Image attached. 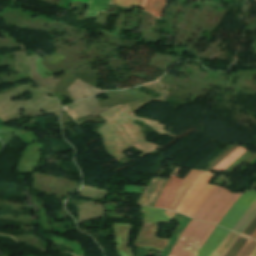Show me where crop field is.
<instances>
[{
    "instance_id": "11",
    "label": "crop field",
    "mask_w": 256,
    "mask_h": 256,
    "mask_svg": "<svg viewBox=\"0 0 256 256\" xmlns=\"http://www.w3.org/2000/svg\"><path fill=\"white\" fill-rule=\"evenodd\" d=\"M238 234L230 231L221 245L217 248V250L212 254V256H224L230 245L234 242L237 238ZM211 256V255H210Z\"/></svg>"
},
{
    "instance_id": "21",
    "label": "crop field",
    "mask_w": 256,
    "mask_h": 256,
    "mask_svg": "<svg viewBox=\"0 0 256 256\" xmlns=\"http://www.w3.org/2000/svg\"><path fill=\"white\" fill-rule=\"evenodd\" d=\"M254 1H256V0H254Z\"/></svg>"
},
{
    "instance_id": "3",
    "label": "crop field",
    "mask_w": 256,
    "mask_h": 256,
    "mask_svg": "<svg viewBox=\"0 0 256 256\" xmlns=\"http://www.w3.org/2000/svg\"><path fill=\"white\" fill-rule=\"evenodd\" d=\"M255 199V190L243 193L218 225L231 230L235 223L238 221V219L241 217V215L246 211V209L252 204Z\"/></svg>"
},
{
    "instance_id": "6",
    "label": "crop field",
    "mask_w": 256,
    "mask_h": 256,
    "mask_svg": "<svg viewBox=\"0 0 256 256\" xmlns=\"http://www.w3.org/2000/svg\"><path fill=\"white\" fill-rule=\"evenodd\" d=\"M182 179L170 177L169 181L167 182L165 189L161 196L159 197L155 207L166 209L168 203L170 202L171 198L173 197L176 189L180 185Z\"/></svg>"
},
{
    "instance_id": "1",
    "label": "crop field",
    "mask_w": 256,
    "mask_h": 256,
    "mask_svg": "<svg viewBox=\"0 0 256 256\" xmlns=\"http://www.w3.org/2000/svg\"><path fill=\"white\" fill-rule=\"evenodd\" d=\"M213 177V174L209 172H204L203 175L199 178V180L195 183L189 193L186 195L182 203L178 208V212L184 214V212L188 209V207L192 204V202L196 199V197L200 194V192L204 189V187L208 184L210 179ZM215 187L207 185L206 188L202 191V193L197 197V199L193 202V204L186 211L185 215L189 217H193V215L197 212L203 202L208 198V196L213 192ZM226 190L220 187H217L215 191L210 195V197L205 201V203L201 206L198 212L195 214L193 219L200 220L205 217V215L209 212V210L214 206V204L219 200V198L224 194ZM242 194V193H241ZM241 194H232L229 191H226L225 194L220 198V200L215 204V206L210 210L207 216L204 218L203 222H207L212 224L217 216L221 213L227 203L228 205L222 211V213L218 216L213 224L217 225L218 222L222 219L228 209L233 205V203L238 199Z\"/></svg>"
},
{
    "instance_id": "9",
    "label": "crop field",
    "mask_w": 256,
    "mask_h": 256,
    "mask_svg": "<svg viewBox=\"0 0 256 256\" xmlns=\"http://www.w3.org/2000/svg\"><path fill=\"white\" fill-rule=\"evenodd\" d=\"M255 214H256V200L248 208V210L245 212L242 218L238 221V223L233 227L232 231L241 234L242 230L250 222V220L255 216Z\"/></svg>"
},
{
    "instance_id": "8",
    "label": "crop field",
    "mask_w": 256,
    "mask_h": 256,
    "mask_svg": "<svg viewBox=\"0 0 256 256\" xmlns=\"http://www.w3.org/2000/svg\"><path fill=\"white\" fill-rule=\"evenodd\" d=\"M166 0H143L140 7H144L143 10L152 13V15L161 17Z\"/></svg>"
},
{
    "instance_id": "2",
    "label": "crop field",
    "mask_w": 256,
    "mask_h": 256,
    "mask_svg": "<svg viewBox=\"0 0 256 256\" xmlns=\"http://www.w3.org/2000/svg\"><path fill=\"white\" fill-rule=\"evenodd\" d=\"M199 224V221L191 219L189 224L186 226L184 231L182 232L181 236L177 240L176 244L174 245L173 249L171 250L169 256H178L181 249L183 248L185 242L187 241L188 237L191 235V233L194 231L196 226ZM210 224L202 223L198 225V227L195 229V231L192 233V235L189 237L188 241L186 242L184 248L182 249L179 256H188L191 251L194 249L196 244L202 239L204 234L209 229ZM214 225H211L209 231L207 234L203 237V239L199 242V244L195 247L193 252L190 256H195L202 244L206 241L211 231L214 229Z\"/></svg>"
},
{
    "instance_id": "7",
    "label": "crop field",
    "mask_w": 256,
    "mask_h": 256,
    "mask_svg": "<svg viewBox=\"0 0 256 256\" xmlns=\"http://www.w3.org/2000/svg\"><path fill=\"white\" fill-rule=\"evenodd\" d=\"M141 211L145 212L144 222H155L164 221L170 222L171 218L164 214L162 210L150 208V207H142Z\"/></svg>"
},
{
    "instance_id": "10",
    "label": "crop field",
    "mask_w": 256,
    "mask_h": 256,
    "mask_svg": "<svg viewBox=\"0 0 256 256\" xmlns=\"http://www.w3.org/2000/svg\"><path fill=\"white\" fill-rule=\"evenodd\" d=\"M110 0H91L86 16H97L98 12L106 11Z\"/></svg>"
},
{
    "instance_id": "5",
    "label": "crop field",
    "mask_w": 256,
    "mask_h": 256,
    "mask_svg": "<svg viewBox=\"0 0 256 256\" xmlns=\"http://www.w3.org/2000/svg\"><path fill=\"white\" fill-rule=\"evenodd\" d=\"M229 230L221 227H216L213 233L210 235L206 243L200 249L196 256H210L216 248L220 245L222 240L228 234Z\"/></svg>"
},
{
    "instance_id": "12",
    "label": "crop field",
    "mask_w": 256,
    "mask_h": 256,
    "mask_svg": "<svg viewBox=\"0 0 256 256\" xmlns=\"http://www.w3.org/2000/svg\"><path fill=\"white\" fill-rule=\"evenodd\" d=\"M247 240H248V238L239 235V237L236 239V241L230 247V249L225 254V256H237V254L240 252V250L242 249L244 244L247 242Z\"/></svg>"
},
{
    "instance_id": "16",
    "label": "crop field",
    "mask_w": 256,
    "mask_h": 256,
    "mask_svg": "<svg viewBox=\"0 0 256 256\" xmlns=\"http://www.w3.org/2000/svg\"><path fill=\"white\" fill-rule=\"evenodd\" d=\"M165 213H166L167 215H169V216H172V217H173L174 214H175L174 212H170V211H167V210H165Z\"/></svg>"
},
{
    "instance_id": "19",
    "label": "crop field",
    "mask_w": 256,
    "mask_h": 256,
    "mask_svg": "<svg viewBox=\"0 0 256 256\" xmlns=\"http://www.w3.org/2000/svg\"><path fill=\"white\" fill-rule=\"evenodd\" d=\"M252 238L256 239V232L254 233V235L252 236Z\"/></svg>"
},
{
    "instance_id": "17",
    "label": "crop field",
    "mask_w": 256,
    "mask_h": 256,
    "mask_svg": "<svg viewBox=\"0 0 256 256\" xmlns=\"http://www.w3.org/2000/svg\"><path fill=\"white\" fill-rule=\"evenodd\" d=\"M73 1H83V2H86V3L89 2V0H71L70 2H73Z\"/></svg>"
},
{
    "instance_id": "14",
    "label": "crop field",
    "mask_w": 256,
    "mask_h": 256,
    "mask_svg": "<svg viewBox=\"0 0 256 256\" xmlns=\"http://www.w3.org/2000/svg\"><path fill=\"white\" fill-rule=\"evenodd\" d=\"M140 1L141 0H112L111 4L131 8V5L138 6Z\"/></svg>"
},
{
    "instance_id": "20",
    "label": "crop field",
    "mask_w": 256,
    "mask_h": 256,
    "mask_svg": "<svg viewBox=\"0 0 256 256\" xmlns=\"http://www.w3.org/2000/svg\"><path fill=\"white\" fill-rule=\"evenodd\" d=\"M199 1H201V0H199Z\"/></svg>"
},
{
    "instance_id": "18",
    "label": "crop field",
    "mask_w": 256,
    "mask_h": 256,
    "mask_svg": "<svg viewBox=\"0 0 256 256\" xmlns=\"http://www.w3.org/2000/svg\"><path fill=\"white\" fill-rule=\"evenodd\" d=\"M251 256H256V248H255L254 252L251 254Z\"/></svg>"
},
{
    "instance_id": "13",
    "label": "crop field",
    "mask_w": 256,
    "mask_h": 256,
    "mask_svg": "<svg viewBox=\"0 0 256 256\" xmlns=\"http://www.w3.org/2000/svg\"><path fill=\"white\" fill-rule=\"evenodd\" d=\"M255 247L256 241L249 239L248 242L243 247V249L241 250V252L238 254V256H250Z\"/></svg>"
},
{
    "instance_id": "15",
    "label": "crop field",
    "mask_w": 256,
    "mask_h": 256,
    "mask_svg": "<svg viewBox=\"0 0 256 256\" xmlns=\"http://www.w3.org/2000/svg\"><path fill=\"white\" fill-rule=\"evenodd\" d=\"M255 231H256V216L252 219V221L244 229V231L242 232V235L251 237Z\"/></svg>"
},
{
    "instance_id": "4",
    "label": "crop field",
    "mask_w": 256,
    "mask_h": 256,
    "mask_svg": "<svg viewBox=\"0 0 256 256\" xmlns=\"http://www.w3.org/2000/svg\"><path fill=\"white\" fill-rule=\"evenodd\" d=\"M203 172L204 171L190 170V172L184 178L183 182L176 191L171 202L169 203L167 207L168 210H177L179 204L181 203L187 192L190 190V188L194 185V183L198 180V178L202 175Z\"/></svg>"
}]
</instances>
